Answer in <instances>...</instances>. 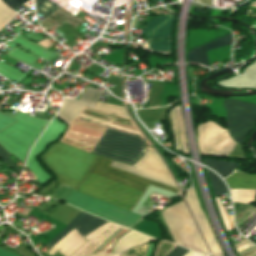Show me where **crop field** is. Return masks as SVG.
<instances>
[{
    "mask_svg": "<svg viewBox=\"0 0 256 256\" xmlns=\"http://www.w3.org/2000/svg\"><path fill=\"white\" fill-rule=\"evenodd\" d=\"M111 160L97 156L77 189L78 192L132 211L149 185L178 190L109 167Z\"/></svg>",
    "mask_w": 256,
    "mask_h": 256,
    "instance_id": "1",
    "label": "crop field"
},
{
    "mask_svg": "<svg viewBox=\"0 0 256 256\" xmlns=\"http://www.w3.org/2000/svg\"><path fill=\"white\" fill-rule=\"evenodd\" d=\"M95 158L96 155L58 143L51 146L42 160L59 182L77 188Z\"/></svg>",
    "mask_w": 256,
    "mask_h": 256,
    "instance_id": "2",
    "label": "crop field"
},
{
    "mask_svg": "<svg viewBox=\"0 0 256 256\" xmlns=\"http://www.w3.org/2000/svg\"><path fill=\"white\" fill-rule=\"evenodd\" d=\"M145 140L106 129L92 153L132 165L145 151Z\"/></svg>",
    "mask_w": 256,
    "mask_h": 256,
    "instance_id": "3",
    "label": "crop field"
},
{
    "mask_svg": "<svg viewBox=\"0 0 256 256\" xmlns=\"http://www.w3.org/2000/svg\"><path fill=\"white\" fill-rule=\"evenodd\" d=\"M176 244L209 254L183 201L161 213Z\"/></svg>",
    "mask_w": 256,
    "mask_h": 256,
    "instance_id": "4",
    "label": "crop field"
},
{
    "mask_svg": "<svg viewBox=\"0 0 256 256\" xmlns=\"http://www.w3.org/2000/svg\"><path fill=\"white\" fill-rule=\"evenodd\" d=\"M66 203L80 208L87 213L129 227L133 226L144 218L142 216L136 215L129 211L112 206L110 204L104 203L102 201L82 195L77 192H73V194L68 198Z\"/></svg>",
    "mask_w": 256,
    "mask_h": 256,
    "instance_id": "5",
    "label": "crop field"
},
{
    "mask_svg": "<svg viewBox=\"0 0 256 256\" xmlns=\"http://www.w3.org/2000/svg\"><path fill=\"white\" fill-rule=\"evenodd\" d=\"M223 106L227 110V128L231 137L240 145L256 123V105L237 101L224 100Z\"/></svg>",
    "mask_w": 256,
    "mask_h": 256,
    "instance_id": "6",
    "label": "crop field"
},
{
    "mask_svg": "<svg viewBox=\"0 0 256 256\" xmlns=\"http://www.w3.org/2000/svg\"><path fill=\"white\" fill-rule=\"evenodd\" d=\"M111 167L176 188L163 162L153 151L147 150L143 158L132 167L114 161Z\"/></svg>",
    "mask_w": 256,
    "mask_h": 256,
    "instance_id": "7",
    "label": "crop field"
},
{
    "mask_svg": "<svg viewBox=\"0 0 256 256\" xmlns=\"http://www.w3.org/2000/svg\"><path fill=\"white\" fill-rule=\"evenodd\" d=\"M198 146L200 154L227 155L236 143L232 141L227 130L220 128L213 122L199 124L197 127Z\"/></svg>",
    "mask_w": 256,
    "mask_h": 256,
    "instance_id": "8",
    "label": "crop field"
},
{
    "mask_svg": "<svg viewBox=\"0 0 256 256\" xmlns=\"http://www.w3.org/2000/svg\"><path fill=\"white\" fill-rule=\"evenodd\" d=\"M173 16H157L143 25L148 41L170 38ZM151 52L170 53L171 39L148 43Z\"/></svg>",
    "mask_w": 256,
    "mask_h": 256,
    "instance_id": "9",
    "label": "crop field"
},
{
    "mask_svg": "<svg viewBox=\"0 0 256 256\" xmlns=\"http://www.w3.org/2000/svg\"><path fill=\"white\" fill-rule=\"evenodd\" d=\"M185 199L196 219V222L208 244V247L212 253V256H223L220 248L218 247L212 232L210 230V227L204 217V214L202 210L199 207L195 192L193 190V186L190 190H187V194L185 196Z\"/></svg>",
    "mask_w": 256,
    "mask_h": 256,
    "instance_id": "10",
    "label": "crop field"
},
{
    "mask_svg": "<svg viewBox=\"0 0 256 256\" xmlns=\"http://www.w3.org/2000/svg\"><path fill=\"white\" fill-rule=\"evenodd\" d=\"M107 221L96 218L94 216L88 215L84 212H80L69 224L68 226L60 232L50 243H48L45 247L51 248L55 245L59 240H61L67 233H69L74 227L77 229L79 234L83 237L100 227Z\"/></svg>",
    "mask_w": 256,
    "mask_h": 256,
    "instance_id": "11",
    "label": "crop field"
},
{
    "mask_svg": "<svg viewBox=\"0 0 256 256\" xmlns=\"http://www.w3.org/2000/svg\"><path fill=\"white\" fill-rule=\"evenodd\" d=\"M231 42H232V33L225 35L221 38H218L214 41H211L207 44H204L192 51H189L187 53V61L203 64L209 67L206 51L212 50L221 46L230 45Z\"/></svg>",
    "mask_w": 256,
    "mask_h": 256,
    "instance_id": "12",
    "label": "crop field"
},
{
    "mask_svg": "<svg viewBox=\"0 0 256 256\" xmlns=\"http://www.w3.org/2000/svg\"><path fill=\"white\" fill-rule=\"evenodd\" d=\"M85 242L86 241L79 236L78 232L73 229L69 234H67L61 241H59L46 253L52 256L58 251L65 256H71Z\"/></svg>",
    "mask_w": 256,
    "mask_h": 256,
    "instance_id": "13",
    "label": "crop field"
},
{
    "mask_svg": "<svg viewBox=\"0 0 256 256\" xmlns=\"http://www.w3.org/2000/svg\"><path fill=\"white\" fill-rule=\"evenodd\" d=\"M84 106L89 107L91 109H93L94 107L93 104L72 99H64V104L57 115L63 121L69 123Z\"/></svg>",
    "mask_w": 256,
    "mask_h": 256,
    "instance_id": "14",
    "label": "crop field"
},
{
    "mask_svg": "<svg viewBox=\"0 0 256 256\" xmlns=\"http://www.w3.org/2000/svg\"><path fill=\"white\" fill-rule=\"evenodd\" d=\"M226 181L230 188L256 189V175L233 173Z\"/></svg>",
    "mask_w": 256,
    "mask_h": 256,
    "instance_id": "15",
    "label": "crop field"
},
{
    "mask_svg": "<svg viewBox=\"0 0 256 256\" xmlns=\"http://www.w3.org/2000/svg\"><path fill=\"white\" fill-rule=\"evenodd\" d=\"M204 164L216 170L224 178L230 175L236 163L218 160H204Z\"/></svg>",
    "mask_w": 256,
    "mask_h": 256,
    "instance_id": "16",
    "label": "crop field"
},
{
    "mask_svg": "<svg viewBox=\"0 0 256 256\" xmlns=\"http://www.w3.org/2000/svg\"><path fill=\"white\" fill-rule=\"evenodd\" d=\"M233 201L251 203L256 198V190H236L231 189Z\"/></svg>",
    "mask_w": 256,
    "mask_h": 256,
    "instance_id": "17",
    "label": "crop field"
},
{
    "mask_svg": "<svg viewBox=\"0 0 256 256\" xmlns=\"http://www.w3.org/2000/svg\"><path fill=\"white\" fill-rule=\"evenodd\" d=\"M94 110L114 114L116 116H120V117L129 119V117L127 116V114L125 112V109L122 107H117V106H112V105H107V104L97 102V104L94 107Z\"/></svg>",
    "mask_w": 256,
    "mask_h": 256,
    "instance_id": "18",
    "label": "crop field"
},
{
    "mask_svg": "<svg viewBox=\"0 0 256 256\" xmlns=\"http://www.w3.org/2000/svg\"><path fill=\"white\" fill-rule=\"evenodd\" d=\"M35 4L36 11L46 17L59 8L48 0H35Z\"/></svg>",
    "mask_w": 256,
    "mask_h": 256,
    "instance_id": "19",
    "label": "crop field"
},
{
    "mask_svg": "<svg viewBox=\"0 0 256 256\" xmlns=\"http://www.w3.org/2000/svg\"><path fill=\"white\" fill-rule=\"evenodd\" d=\"M206 172L213 187V193L215 197L220 196L221 194L227 192L226 187L216 175L207 170Z\"/></svg>",
    "mask_w": 256,
    "mask_h": 256,
    "instance_id": "20",
    "label": "crop field"
},
{
    "mask_svg": "<svg viewBox=\"0 0 256 256\" xmlns=\"http://www.w3.org/2000/svg\"><path fill=\"white\" fill-rule=\"evenodd\" d=\"M17 14L8 9L0 0V30L9 23Z\"/></svg>",
    "mask_w": 256,
    "mask_h": 256,
    "instance_id": "21",
    "label": "crop field"
},
{
    "mask_svg": "<svg viewBox=\"0 0 256 256\" xmlns=\"http://www.w3.org/2000/svg\"><path fill=\"white\" fill-rule=\"evenodd\" d=\"M86 90V89H85ZM84 93V92H83ZM102 91L87 88L85 93L80 98L81 101L96 104L98 97L101 95ZM103 94V93H102Z\"/></svg>",
    "mask_w": 256,
    "mask_h": 256,
    "instance_id": "22",
    "label": "crop field"
},
{
    "mask_svg": "<svg viewBox=\"0 0 256 256\" xmlns=\"http://www.w3.org/2000/svg\"><path fill=\"white\" fill-rule=\"evenodd\" d=\"M216 201H217L218 209H219V212H220V214H221V216H222V219H223V221H224V224H225L226 229H227V230L233 229L234 226H233V221H232L231 215L227 216V213H226V211L223 209V207H222V205H221L219 199H216Z\"/></svg>",
    "mask_w": 256,
    "mask_h": 256,
    "instance_id": "23",
    "label": "crop field"
},
{
    "mask_svg": "<svg viewBox=\"0 0 256 256\" xmlns=\"http://www.w3.org/2000/svg\"><path fill=\"white\" fill-rule=\"evenodd\" d=\"M7 156L9 154L5 152L1 147H0V160L8 167V168H13L19 175L21 173V169H19Z\"/></svg>",
    "mask_w": 256,
    "mask_h": 256,
    "instance_id": "24",
    "label": "crop field"
},
{
    "mask_svg": "<svg viewBox=\"0 0 256 256\" xmlns=\"http://www.w3.org/2000/svg\"><path fill=\"white\" fill-rule=\"evenodd\" d=\"M2 1L14 10L29 0H2Z\"/></svg>",
    "mask_w": 256,
    "mask_h": 256,
    "instance_id": "25",
    "label": "crop field"
},
{
    "mask_svg": "<svg viewBox=\"0 0 256 256\" xmlns=\"http://www.w3.org/2000/svg\"><path fill=\"white\" fill-rule=\"evenodd\" d=\"M189 250L181 248L177 246L174 250H172L167 256H183L186 254Z\"/></svg>",
    "mask_w": 256,
    "mask_h": 256,
    "instance_id": "26",
    "label": "crop field"
},
{
    "mask_svg": "<svg viewBox=\"0 0 256 256\" xmlns=\"http://www.w3.org/2000/svg\"><path fill=\"white\" fill-rule=\"evenodd\" d=\"M0 256H16L10 252H6L0 249Z\"/></svg>",
    "mask_w": 256,
    "mask_h": 256,
    "instance_id": "27",
    "label": "crop field"
},
{
    "mask_svg": "<svg viewBox=\"0 0 256 256\" xmlns=\"http://www.w3.org/2000/svg\"><path fill=\"white\" fill-rule=\"evenodd\" d=\"M184 256H204V255H202V254H197V253H194V252H191V251H189L186 255H184Z\"/></svg>",
    "mask_w": 256,
    "mask_h": 256,
    "instance_id": "28",
    "label": "crop field"
},
{
    "mask_svg": "<svg viewBox=\"0 0 256 256\" xmlns=\"http://www.w3.org/2000/svg\"><path fill=\"white\" fill-rule=\"evenodd\" d=\"M104 256H111V255H104Z\"/></svg>",
    "mask_w": 256,
    "mask_h": 256,
    "instance_id": "29",
    "label": "crop field"
},
{
    "mask_svg": "<svg viewBox=\"0 0 256 256\" xmlns=\"http://www.w3.org/2000/svg\"><path fill=\"white\" fill-rule=\"evenodd\" d=\"M113 256H116V255H113Z\"/></svg>",
    "mask_w": 256,
    "mask_h": 256,
    "instance_id": "30",
    "label": "crop field"
},
{
    "mask_svg": "<svg viewBox=\"0 0 256 256\" xmlns=\"http://www.w3.org/2000/svg\"><path fill=\"white\" fill-rule=\"evenodd\" d=\"M205 256H207V255H205Z\"/></svg>",
    "mask_w": 256,
    "mask_h": 256,
    "instance_id": "31",
    "label": "crop field"
}]
</instances>
